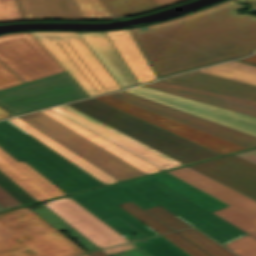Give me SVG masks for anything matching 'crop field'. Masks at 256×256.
Segmentation results:
<instances>
[{
  "label": "crop field",
  "mask_w": 256,
  "mask_h": 256,
  "mask_svg": "<svg viewBox=\"0 0 256 256\" xmlns=\"http://www.w3.org/2000/svg\"><path fill=\"white\" fill-rule=\"evenodd\" d=\"M227 0L180 18L130 29L157 77L251 54L256 17Z\"/></svg>",
  "instance_id": "crop-field-1"
},
{
  "label": "crop field",
  "mask_w": 256,
  "mask_h": 256,
  "mask_svg": "<svg viewBox=\"0 0 256 256\" xmlns=\"http://www.w3.org/2000/svg\"><path fill=\"white\" fill-rule=\"evenodd\" d=\"M125 183L221 244L246 234L211 213L227 204L166 172Z\"/></svg>",
  "instance_id": "crop-field-2"
},
{
  "label": "crop field",
  "mask_w": 256,
  "mask_h": 256,
  "mask_svg": "<svg viewBox=\"0 0 256 256\" xmlns=\"http://www.w3.org/2000/svg\"><path fill=\"white\" fill-rule=\"evenodd\" d=\"M68 105L184 165L222 156L94 99Z\"/></svg>",
  "instance_id": "crop-field-3"
},
{
  "label": "crop field",
  "mask_w": 256,
  "mask_h": 256,
  "mask_svg": "<svg viewBox=\"0 0 256 256\" xmlns=\"http://www.w3.org/2000/svg\"><path fill=\"white\" fill-rule=\"evenodd\" d=\"M84 253L27 207L0 213V256H72Z\"/></svg>",
  "instance_id": "crop-field-4"
},
{
  "label": "crop field",
  "mask_w": 256,
  "mask_h": 256,
  "mask_svg": "<svg viewBox=\"0 0 256 256\" xmlns=\"http://www.w3.org/2000/svg\"><path fill=\"white\" fill-rule=\"evenodd\" d=\"M0 148L24 160L65 194L103 185L9 121L0 122Z\"/></svg>",
  "instance_id": "crop-field-5"
},
{
  "label": "crop field",
  "mask_w": 256,
  "mask_h": 256,
  "mask_svg": "<svg viewBox=\"0 0 256 256\" xmlns=\"http://www.w3.org/2000/svg\"><path fill=\"white\" fill-rule=\"evenodd\" d=\"M31 33L90 96L121 88L76 32Z\"/></svg>",
  "instance_id": "crop-field-6"
},
{
  "label": "crop field",
  "mask_w": 256,
  "mask_h": 256,
  "mask_svg": "<svg viewBox=\"0 0 256 256\" xmlns=\"http://www.w3.org/2000/svg\"><path fill=\"white\" fill-rule=\"evenodd\" d=\"M89 97L67 73H61L0 91V105L14 114Z\"/></svg>",
  "instance_id": "crop-field-7"
},
{
  "label": "crop field",
  "mask_w": 256,
  "mask_h": 256,
  "mask_svg": "<svg viewBox=\"0 0 256 256\" xmlns=\"http://www.w3.org/2000/svg\"><path fill=\"white\" fill-rule=\"evenodd\" d=\"M20 118L119 180L144 175L130 164L41 112L20 116Z\"/></svg>",
  "instance_id": "crop-field-8"
},
{
  "label": "crop field",
  "mask_w": 256,
  "mask_h": 256,
  "mask_svg": "<svg viewBox=\"0 0 256 256\" xmlns=\"http://www.w3.org/2000/svg\"><path fill=\"white\" fill-rule=\"evenodd\" d=\"M0 61L26 82L65 72L30 32L1 35Z\"/></svg>",
  "instance_id": "crop-field-9"
},
{
  "label": "crop field",
  "mask_w": 256,
  "mask_h": 256,
  "mask_svg": "<svg viewBox=\"0 0 256 256\" xmlns=\"http://www.w3.org/2000/svg\"><path fill=\"white\" fill-rule=\"evenodd\" d=\"M168 173L229 204L230 206L213 213L256 237V201L188 166Z\"/></svg>",
  "instance_id": "crop-field-10"
},
{
  "label": "crop field",
  "mask_w": 256,
  "mask_h": 256,
  "mask_svg": "<svg viewBox=\"0 0 256 256\" xmlns=\"http://www.w3.org/2000/svg\"><path fill=\"white\" fill-rule=\"evenodd\" d=\"M124 91L256 136V118L254 117L143 86Z\"/></svg>",
  "instance_id": "crop-field-11"
},
{
  "label": "crop field",
  "mask_w": 256,
  "mask_h": 256,
  "mask_svg": "<svg viewBox=\"0 0 256 256\" xmlns=\"http://www.w3.org/2000/svg\"><path fill=\"white\" fill-rule=\"evenodd\" d=\"M23 19L103 20L112 15L100 0H17Z\"/></svg>",
  "instance_id": "crop-field-12"
},
{
  "label": "crop field",
  "mask_w": 256,
  "mask_h": 256,
  "mask_svg": "<svg viewBox=\"0 0 256 256\" xmlns=\"http://www.w3.org/2000/svg\"><path fill=\"white\" fill-rule=\"evenodd\" d=\"M112 97L133 104L145 110L164 116L202 132L209 133L246 148L256 146V137L236 131L234 129L210 122L208 120L187 114L185 112L161 105L159 103L120 91L108 94Z\"/></svg>",
  "instance_id": "crop-field-13"
},
{
  "label": "crop field",
  "mask_w": 256,
  "mask_h": 256,
  "mask_svg": "<svg viewBox=\"0 0 256 256\" xmlns=\"http://www.w3.org/2000/svg\"><path fill=\"white\" fill-rule=\"evenodd\" d=\"M109 96L102 95L94 97V99L103 102L107 105H110L116 109H119L125 113H128L132 116L140 118L144 121H147L151 124H154L158 127L173 132L179 136L189 139L195 143H198L204 147H207L223 155L246 149L233 143L227 142L225 140L219 139L217 137L211 136L209 134L194 130L192 128L176 123L174 121H171L169 119L158 116L156 114L145 111L143 109H140L138 107L127 104L125 102H122Z\"/></svg>",
  "instance_id": "crop-field-14"
},
{
  "label": "crop field",
  "mask_w": 256,
  "mask_h": 256,
  "mask_svg": "<svg viewBox=\"0 0 256 256\" xmlns=\"http://www.w3.org/2000/svg\"><path fill=\"white\" fill-rule=\"evenodd\" d=\"M46 207L99 249L127 242L125 238L72 199L46 205Z\"/></svg>",
  "instance_id": "crop-field-15"
},
{
  "label": "crop field",
  "mask_w": 256,
  "mask_h": 256,
  "mask_svg": "<svg viewBox=\"0 0 256 256\" xmlns=\"http://www.w3.org/2000/svg\"><path fill=\"white\" fill-rule=\"evenodd\" d=\"M82 127L112 141L162 170L182 165L181 163L129 138L128 136L64 105L51 108Z\"/></svg>",
  "instance_id": "crop-field-16"
},
{
  "label": "crop field",
  "mask_w": 256,
  "mask_h": 256,
  "mask_svg": "<svg viewBox=\"0 0 256 256\" xmlns=\"http://www.w3.org/2000/svg\"><path fill=\"white\" fill-rule=\"evenodd\" d=\"M190 167L256 200L255 164L231 155Z\"/></svg>",
  "instance_id": "crop-field-17"
},
{
  "label": "crop field",
  "mask_w": 256,
  "mask_h": 256,
  "mask_svg": "<svg viewBox=\"0 0 256 256\" xmlns=\"http://www.w3.org/2000/svg\"><path fill=\"white\" fill-rule=\"evenodd\" d=\"M116 192L107 186L70 197L101 220L118 216L147 237L157 235L155 231L117 205L129 200Z\"/></svg>",
  "instance_id": "crop-field-18"
},
{
  "label": "crop field",
  "mask_w": 256,
  "mask_h": 256,
  "mask_svg": "<svg viewBox=\"0 0 256 256\" xmlns=\"http://www.w3.org/2000/svg\"><path fill=\"white\" fill-rule=\"evenodd\" d=\"M143 86L256 117V100L163 81Z\"/></svg>",
  "instance_id": "crop-field-19"
},
{
  "label": "crop field",
  "mask_w": 256,
  "mask_h": 256,
  "mask_svg": "<svg viewBox=\"0 0 256 256\" xmlns=\"http://www.w3.org/2000/svg\"><path fill=\"white\" fill-rule=\"evenodd\" d=\"M0 171L37 201L63 195L59 189L24 161L18 163L0 149Z\"/></svg>",
  "instance_id": "crop-field-20"
},
{
  "label": "crop field",
  "mask_w": 256,
  "mask_h": 256,
  "mask_svg": "<svg viewBox=\"0 0 256 256\" xmlns=\"http://www.w3.org/2000/svg\"><path fill=\"white\" fill-rule=\"evenodd\" d=\"M77 33L122 88L138 84L104 32Z\"/></svg>",
  "instance_id": "crop-field-21"
},
{
  "label": "crop field",
  "mask_w": 256,
  "mask_h": 256,
  "mask_svg": "<svg viewBox=\"0 0 256 256\" xmlns=\"http://www.w3.org/2000/svg\"><path fill=\"white\" fill-rule=\"evenodd\" d=\"M139 84L157 80L129 29L105 32Z\"/></svg>",
  "instance_id": "crop-field-22"
},
{
  "label": "crop field",
  "mask_w": 256,
  "mask_h": 256,
  "mask_svg": "<svg viewBox=\"0 0 256 256\" xmlns=\"http://www.w3.org/2000/svg\"><path fill=\"white\" fill-rule=\"evenodd\" d=\"M163 81L256 99V86L197 71L166 78Z\"/></svg>",
  "instance_id": "crop-field-23"
},
{
  "label": "crop field",
  "mask_w": 256,
  "mask_h": 256,
  "mask_svg": "<svg viewBox=\"0 0 256 256\" xmlns=\"http://www.w3.org/2000/svg\"><path fill=\"white\" fill-rule=\"evenodd\" d=\"M8 120L25 132H27L28 134H30L31 136H33L34 138H36L37 140H39L40 142H42L43 144H45L46 146H48L49 148H51L52 150L56 151L57 153L77 165L78 167H80L81 169H83L84 171H86L87 173H89L90 175H92L93 177H95L96 179H98L99 181H101L102 183L106 184L118 181L114 177L110 176L103 170L91 164L84 158L80 157L76 153L72 152L65 146L61 145L57 141L53 140L52 138L45 135L41 131L26 123L25 121L21 120L20 118L16 117Z\"/></svg>",
  "instance_id": "crop-field-24"
},
{
  "label": "crop field",
  "mask_w": 256,
  "mask_h": 256,
  "mask_svg": "<svg viewBox=\"0 0 256 256\" xmlns=\"http://www.w3.org/2000/svg\"><path fill=\"white\" fill-rule=\"evenodd\" d=\"M50 117L54 118L55 120L59 121L60 123L64 124L65 126L69 127L70 129L76 131L77 133L81 134L82 136L86 137L87 139L91 140L92 142L96 143L97 145L103 147L104 149L108 150L109 152L113 153L114 155L118 156L119 158L123 159L124 161L130 163L131 165L135 166L139 170L143 171L144 173H152L161 171L157 167L145 162L144 160L140 159L139 157L125 151L124 149L118 147L117 145L101 138L100 136L82 128L81 126L73 123L72 121L66 119L65 117L57 114L56 112L47 109L41 111Z\"/></svg>",
  "instance_id": "crop-field-25"
},
{
  "label": "crop field",
  "mask_w": 256,
  "mask_h": 256,
  "mask_svg": "<svg viewBox=\"0 0 256 256\" xmlns=\"http://www.w3.org/2000/svg\"><path fill=\"white\" fill-rule=\"evenodd\" d=\"M198 71L256 85V67L236 61Z\"/></svg>",
  "instance_id": "crop-field-26"
},
{
  "label": "crop field",
  "mask_w": 256,
  "mask_h": 256,
  "mask_svg": "<svg viewBox=\"0 0 256 256\" xmlns=\"http://www.w3.org/2000/svg\"><path fill=\"white\" fill-rule=\"evenodd\" d=\"M114 18L137 15L160 7L152 0H101Z\"/></svg>",
  "instance_id": "crop-field-27"
},
{
  "label": "crop field",
  "mask_w": 256,
  "mask_h": 256,
  "mask_svg": "<svg viewBox=\"0 0 256 256\" xmlns=\"http://www.w3.org/2000/svg\"><path fill=\"white\" fill-rule=\"evenodd\" d=\"M139 249L149 256H188L180 249L175 247L162 236L146 239L145 242H134Z\"/></svg>",
  "instance_id": "crop-field-28"
},
{
  "label": "crop field",
  "mask_w": 256,
  "mask_h": 256,
  "mask_svg": "<svg viewBox=\"0 0 256 256\" xmlns=\"http://www.w3.org/2000/svg\"><path fill=\"white\" fill-rule=\"evenodd\" d=\"M212 256H235L193 228L178 231Z\"/></svg>",
  "instance_id": "crop-field-29"
},
{
  "label": "crop field",
  "mask_w": 256,
  "mask_h": 256,
  "mask_svg": "<svg viewBox=\"0 0 256 256\" xmlns=\"http://www.w3.org/2000/svg\"><path fill=\"white\" fill-rule=\"evenodd\" d=\"M119 205L159 234L173 231L167 225H165L164 223H162L161 221H159L158 219H156L155 217H153L152 215L138 207L132 201L129 203Z\"/></svg>",
  "instance_id": "crop-field-30"
},
{
  "label": "crop field",
  "mask_w": 256,
  "mask_h": 256,
  "mask_svg": "<svg viewBox=\"0 0 256 256\" xmlns=\"http://www.w3.org/2000/svg\"><path fill=\"white\" fill-rule=\"evenodd\" d=\"M110 187L117 191L118 193H120L121 195H123L124 197L132 200L134 203H136L143 209L158 205L151 199L147 198L143 194L139 193L138 191L124 183L111 185Z\"/></svg>",
  "instance_id": "crop-field-31"
},
{
  "label": "crop field",
  "mask_w": 256,
  "mask_h": 256,
  "mask_svg": "<svg viewBox=\"0 0 256 256\" xmlns=\"http://www.w3.org/2000/svg\"><path fill=\"white\" fill-rule=\"evenodd\" d=\"M224 246L240 256H256V238L249 234Z\"/></svg>",
  "instance_id": "crop-field-32"
},
{
  "label": "crop field",
  "mask_w": 256,
  "mask_h": 256,
  "mask_svg": "<svg viewBox=\"0 0 256 256\" xmlns=\"http://www.w3.org/2000/svg\"><path fill=\"white\" fill-rule=\"evenodd\" d=\"M163 237L190 256H211L177 232L163 235Z\"/></svg>",
  "instance_id": "crop-field-33"
},
{
  "label": "crop field",
  "mask_w": 256,
  "mask_h": 256,
  "mask_svg": "<svg viewBox=\"0 0 256 256\" xmlns=\"http://www.w3.org/2000/svg\"><path fill=\"white\" fill-rule=\"evenodd\" d=\"M0 186L23 205L36 202L30 195L0 172Z\"/></svg>",
  "instance_id": "crop-field-34"
},
{
  "label": "crop field",
  "mask_w": 256,
  "mask_h": 256,
  "mask_svg": "<svg viewBox=\"0 0 256 256\" xmlns=\"http://www.w3.org/2000/svg\"><path fill=\"white\" fill-rule=\"evenodd\" d=\"M21 20L23 19L16 0H0V22Z\"/></svg>",
  "instance_id": "crop-field-35"
},
{
  "label": "crop field",
  "mask_w": 256,
  "mask_h": 256,
  "mask_svg": "<svg viewBox=\"0 0 256 256\" xmlns=\"http://www.w3.org/2000/svg\"><path fill=\"white\" fill-rule=\"evenodd\" d=\"M104 222L108 224L110 227H112L114 230H116L118 233H120L122 236H124L126 239H128L129 241H131L130 238H134L136 240L146 238L144 235H142L140 232L132 228L130 225H128L118 217L104 220ZM131 234H134L138 237L135 238Z\"/></svg>",
  "instance_id": "crop-field-36"
},
{
  "label": "crop field",
  "mask_w": 256,
  "mask_h": 256,
  "mask_svg": "<svg viewBox=\"0 0 256 256\" xmlns=\"http://www.w3.org/2000/svg\"><path fill=\"white\" fill-rule=\"evenodd\" d=\"M145 210L150 214H152L153 216H155L156 218H158L159 220H161L162 222H164L165 224H167L168 226H170L174 230L188 227V225L181 222L180 220L175 218L173 215H171L170 213H168L167 211H165L164 209L158 206L145 209Z\"/></svg>",
  "instance_id": "crop-field-37"
},
{
  "label": "crop field",
  "mask_w": 256,
  "mask_h": 256,
  "mask_svg": "<svg viewBox=\"0 0 256 256\" xmlns=\"http://www.w3.org/2000/svg\"><path fill=\"white\" fill-rule=\"evenodd\" d=\"M25 83L0 62V90Z\"/></svg>",
  "instance_id": "crop-field-38"
},
{
  "label": "crop field",
  "mask_w": 256,
  "mask_h": 256,
  "mask_svg": "<svg viewBox=\"0 0 256 256\" xmlns=\"http://www.w3.org/2000/svg\"><path fill=\"white\" fill-rule=\"evenodd\" d=\"M0 204L4 206L6 209L21 206L17 200H15L11 195H9L6 191H4L0 187Z\"/></svg>",
  "instance_id": "crop-field-39"
},
{
  "label": "crop field",
  "mask_w": 256,
  "mask_h": 256,
  "mask_svg": "<svg viewBox=\"0 0 256 256\" xmlns=\"http://www.w3.org/2000/svg\"><path fill=\"white\" fill-rule=\"evenodd\" d=\"M131 248H135L132 244L128 243V244H124V245H120L117 247H113L110 249H106V250H102L105 254L110 255V254H114L123 250H127V249H131Z\"/></svg>",
  "instance_id": "crop-field-40"
},
{
  "label": "crop field",
  "mask_w": 256,
  "mask_h": 256,
  "mask_svg": "<svg viewBox=\"0 0 256 256\" xmlns=\"http://www.w3.org/2000/svg\"><path fill=\"white\" fill-rule=\"evenodd\" d=\"M112 256H147V255L143 253L141 250H139L138 248H135V249L123 251L119 254H115Z\"/></svg>",
  "instance_id": "crop-field-41"
},
{
  "label": "crop field",
  "mask_w": 256,
  "mask_h": 256,
  "mask_svg": "<svg viewBox=\"0 0 256 256\" xmlns=\"http://www.w3.org/2000/svg\"><path fill=\"white\" fill-rule=\"evenodd\" d=\"M235 155L256 164V149L251 150V151H247V152H243V153H239V154H235Z\"/></svg>",
  "instance_id": "crop-field-42"
},
{
  "label": "crop field",
  "mask_w": 256,
  "mask_h": 256,
  "mask_svg": "<svg viewBox=\"0 0 256 256\" xmlns=\"http://www.w3.org/2000/svg\"><path fill=\"white\" fill-rule=\"evenodd\" d=\"M153 1L156 2L160 7H162V6L170 5L183 0H153Z\"/></svg>",
  "instance_id": "crop-field-43"
},
{
  "label": "crop field",
  "mask_w": 256,
  "mask_h": 256,
  "mask_svg": "<svg viewBox=\"0 0 256 256\" xmlns=\"http://www.w3.org/2000/svg\"><path fill=\"white\" fill-rule=\"evenodd\" d=\"M240 1L249 2L252 5L250 10L256 11V0H240Z\"/></svg>",
  "instance_id": "crop-field-44"
},
{
  "label": "crop field",
  "mask_w": 256,
  "mask_h": 256,
  "mask_svg": "<svg viewBox=\"0 0 256 256\" xmlns=\"http://www.w3.org/2000/svg\"><path fill=\"white\" fill-rule=\"evenodd\" d=\"M66 199H70V197L67 196V197H63V198H59V199L43 202V204L46 205V204H50V203H54V202H58V201L66 200Z\"/></svg>",
  "instance_id": "crop-field-45"
},
{
  "label": "crop field",
  "mask_w": 256,
  "mask_h": 256,
  "mask_svg": "<svg viewBox=\"0 0 256 256\" xmlns=\"http://www.w3.org/2000/svg\"><path fill=\"white\" fill-rule=\"evenodd\" d=\"M240 60H243V61H246V62H249V63L256 64V54H255L253 57L245 58V59H240Z\"/></svg>",
  "instance_id": "crop-field-46"
},
{
  "label": "crop field",
  "mask_w": 256,
  "mask_h": 256,
  "mask_svg": "<svg viewBox=\"0 0 256 256\" xmlns=\"http://www.w3.org/2000/svg\"><path fill=\"white\" fill-rule=\"evenodd\" d=\"M8 116H12V115L6 112L5 110H3L2 108H0V118H4Z\"/></svg>",
  "instance_id": "crop-field-47"
},
{
  "label": "crop field",
  "mask_w": 256,
  "mask_h": 256,
  "mask_svg": "<svg viewBox=\"0 0 256 256\" xmlns=\"http://www.w3.org/2000/svg\"><path fill=\"white\" fill-rule=\"evenodd\" d=\"M88 255H90V256H107V255H105V254H104L103 252H101V251L89 253Z\"/></svg>",
  "instance_id": "crop-field-48"
},
{
  "label": "crop field",
  "mask_w": 256,
  "mask_h": 256,
  "mask_svg": "<svg viewBox=\"0 0 256 256\" xmlns=\"http://www.w3.org/2000/svg\"><path fill=\"white\" fill-rule=\"evenodd\" d=\"M1 210H5V208L0 205V211H1Z\"/></svg>",
  "instance_id": "crop-field-49"
},
{
  "label": "crop field",
  "mask_w": 256,
  "mask_h": 256,
  "mask_svg": "<svg viewBox=\"0 0 256 256\" xmlns=\"http://www.w3.org/2000/svg\"><path fill=\"white\" fill-rule=\"evenodd\" d=\"M82 256H88V255L86 254V255H82Z\"/></svg>",
  "instance_id": "crop-field-50"
}]
</instances>
